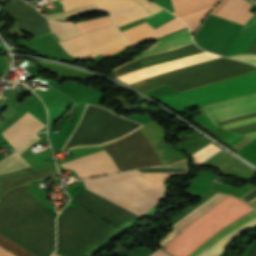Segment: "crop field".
Wrapping results in <instances>:
<instances>
[{
    "instance_id": "8a807250",
    "label": "crop field",
    "mask_w": 256,
    "mask_h": 256,
    "mask_svg": "<svg viewBox=\"0 0 256 256\" xmlns=\"http://www.w3.org/2000/svg\"><path fill=\"white\" fill-rule=\"evenodd\" d=\"M73 201L122 229L138 217L87 190ZM116 228L79 206L66 208L57 218V242L81 254Z\"/></svg>"
},
{
    "instance_id": "ac0d7876",
    "label": "crop field",
    "mask_w": 256,
    "mask_h": 256,
    "mask_svg": "<svg viewBox=\"0 0 256 256\" xmlns=\"http://www.w3.org/2000/svg\"><path fill=\"white\" fill-rule=\"evenodd\" d=\"M55 220L25 196L0 202V233L38 256L54 250Z\"/></svg>"
},
{
    "instance_id": "34b2d1b8",
    "label": "crop field",
    "mask_w": 256,
    "mask_h": 256,
    "mask_svg": "<svg viewBox=\"0 0 256 256\" xmlns=\"http://www.w3.org/2000/svg\"><path fill=\"white\" fill-rule=\"evenodd\" d=\"M252 210L228 195L180 230L179 235L161 247L162 251L172 256H188L214 233Z\"/></svg>"
},
{
    "instance_id": "412701ff",
    "label": "crop field",
    "mask_w": 256,
    "mask_h": 256,
    "mask_svg": "<svg viewBox=\"0 0 256 256\" xmlns=\"http://www.w3.org/2000/svg\"><path fill=\"white\" fill-rule=\"evenodd\" d=\"M253 71H256V67L252 65L221 57L157 75L129 86L145 92L168 84L182 92Z\"/></svg>"
},
{
    "instance_id": "f4fd0767",
    "label": "crop field",
    "mask_w": 256,
    "mask_h": 256,
    "mask_svg": "<svg viewBox=\"0 0 256 256\" xmlns=\"http://www.w3.org/2000/svg\"><path fill=\"white\" fill-rule=\"evenodd\" d=\"M85 188L136 214H142L164 188L130 171L83 180Z\"/></svg>"
},
{
    "instance_id": "dd49c442",
    "label": "crop field",
    "mask_w": 256,
    "mask_h": 256,
    "mask_svg": "<svg viewBox=\"0 0 256 256\" xmlns=\"http://www.w3.org/2000/svg\"><path fill=\"white\" fill-rule=\"evenodd\" d=\"M256 91V72L182 93L155 97L179 113L197 106L210 105Z\"/></svg>"
},
{
    "instance_id": "e52e79f7",
    "label": "crop field",
    "mask_w": 256,
    "mask_h": 256,
    "mask_svg": "<svg viewBox=\"0 0 256 256\" xmlns=\"http://www.w3.org/2000/svg\"><path fill=\"white\" fill-rule=\"evenodd\" d=\"M251 4L244 0H222L211 14L244 25L252 13L247 12ZM256 43V12L241 27L237 35L226 49L224 56L248 54ZM249 54H256V45Z\"/></svg>"
},
{
    "instance_id": "d8731c3e",
    "label": "crop field",
    "mask_w": 256,
    "mask_h": 256,
    "mask_svg": "<svg viewBox=\"0 0 256 256\" xmlns=\"http://www.w3.org/2000/svg\"><path fill=\"white\" fill-rule=\"evenodd\" d=\"M103 148L120 171L162 164L141 130Z\"/></svg>"
},
{
    "instance_id": "5a996713",
    "label": "crop field",
    "mask_w": 256,
    "mask_h": 256,
    "mask_svg": "<svg viewBox=\"0 0 256 256\" xmlns=\"http://www.w3.org/2000/svg\"><path fill=\"white\" fill-rule=\"evenodd\" d=\"M60 43L66 52L82 61L101 52L130 45L115 25L97 29Z\"/></svg>"
},
{
    "instance_id": "3316defc",
    "label": "crop field",
    "mask_w": 256,
    "mask_h": 256,
    "mask_svg": "<svg viewBox=\"0 0 256 256\" xmlns=\"http://www.w3.org/2000/svg\"><path fill=\"white\" fill-rule=\"evenodd\" d=\"M64 11L96 3L99 11L107 12L118 27L149 16L137 2L130 0H62Z\"/></svg>"
},
{
    "instance_id": "28ad6ade",
    "label": "crop field",
    "mask_w": 256,
    "mask_h": 256,
    "mask_svg": "<svg viewBox=\"0 0 256 256\" xmlns=\"http://www.w3.org/2000/svg\"><path fill=\"white\" fill-rule=\"evenodd\" d=\"M6 13L16 21V27L33 36L49 34L46 20L21 0H10Z\"/></svg>"
},
{
    "instance_id": "d1516ede",
    "label": "crop field",
    "mask_w": 256,
    "mask_h": 256,
    "mask_svg": "<svg viewBox=\"0 0 256 256\" xmlns=\"http://www.w3.org/2000/svg\"><path fill=\"white\" fill-rule=\"evenodd\" d=\"M61 166L74 170L79 178L118 172L105 150L61 164Z\"/></svg>"
},
{
    "instance_id": "22f410ed",
    "label": "crop field",
    "mask_w": 256,
    "mask_h": 256,
    "mask_svg": "<svg viewBox=\"0 0 256 256\" xmlns=\"http://www.w3.org/2000/svg\"><path fill=\"white\" fill-rule=\"evenodd\" d=\"M207 115L215 122L237 117L256 111V93L203 107Z\"/></svg>"
},
{
    "instance_id": "cbeb9de0",
    "label": "crop field",
    "mask_w": 256,
    "mask_h": 256,
    "mask_svg": "<svg viewBox=\"0 0 256 256\" xmlns=\"http://www.w3.org/2000/svg\"><path fill=\"white\" fill-rule=\"evenodd\" d=\"M202 3H218L219 0H197ZM196 0H172L174 12L191 29L193 33L199 26L202 18L215 4H201Z\"/></svg>"
},
{
    "instance_id": "5142ce71",
    "label": "crop field",
    "mask_w": 256,
    "mask_h": 256,
    "mask_svg": "<svg viewBox=\"0 0 256 256\" xmlns=\"http://www.w3.org/2000/svg\"><path fill=\"white\" fill-rule=\"evenodd\" d=\"M56 166L35 172L31 167L0 175V195L14 187L29 185L30 182L58 176Z\"/></svg>"
},
{
    "instance_id": "d9b57169",
    "label": "crop field",
    "mask_w": 256,
    "mask_h": 256,
    "mask_svg": "<svg viewBox=\"0 0 256 256\" xmlns=\"http://www.w3.org/2000/svg\"><path fill=\"white\" fill-rule=\"evenodd\" d=\"M96 11H98L97 7L95 4H93V5L79 7L67 12L46 15L45 18L48 20L49 27L52 33L54 32L60 40H64L71 36L80 34L79 30L74 25V23L59 22V21H53V20H65L72 17H76L81 14H86V13H91Z\"/></svg>"
},
{
    "instance_id": "733c2abd",
    "label": "crop field",
    "mask_w": 256,
    "mask_h": 256,
    "mask_svg": "<svg viewBox=\"0 0 256 256\" xmlns=\"http://www.w3.org/2000/svg\"><path fill=\"white\" fill-rule=\"evenodd\" d=\"M45 125L28 112L1 134L15 149Z\"/></svg>"
},
{
    "instance_id": "4a817a6b",
    "label": "crop field",
    "mask_w": 256,
    "mask_h": 256,
    "mask_svg": "<svg viewBox=\"0 0 256 256\" xmlns=\"http://www.w3.org/2000/svg\"><path fill=\"white\" fill-rule=\"evenodd\" d=\"M192 39L190 37L189 31L188 29L185 31H182L180 33H177L173 36H170L168 38H165L163 40H160L158 42H156L155 44H153L152 46L148 47L147 49H145L143 52H141L139 55H137L136 57H134L133 59L121 64L120 66H118L117 68L113 69L112 71H115L116 69L132 63L140 58L146 57V56H150V55H155V54H159V53H163V52H167L173 49H176L178 47L187 45L189 43H192Z\"/></svg>"
},
{
    "instance_id": "bc2a9ffb",
    "label": "crop field",
    "mask_w": 256,
    "mask_h": 256,
    "mask_svg": "<svg viewBox=\"0 0 256 256\" xmlns=\"http://www.w3.org/2000/svg\"><path fill=\"white\" fill-rule=\"evenodd\" d=\"M225 194L217 193L213 197H211L209 200L201 204L199 207L194 209L193 211L186 214L182 219H180L175 225H173V231L169 233L165 238H163L161 241L158 242L159 246L161 247L166 242H168L170 239H172L174 236H176L180 229H182L185 225H187L189 222H191L194 218H196L198 215L203 213L205 210L213 206L215 203L220 201L222 198H224Z\"/></svg>"
},
{
    "instance_id": "214f88e0",
    "label": "crop field",
    "mask_w": 256,
    "mask_h": 256,
    "mask_svg": "<svg viewBox=\"0 0 256 256\" xmlns=\"http://www.w3.org/2000/svg\"><path fill=\"white\" fill-rule=\"evenodd\" d=\"M40 138L34 135L25 143H23L17 150L13 153L5 157L0 161V174H4L7 172L15 171L24 167H28L29 165L25 162V160L19 155L33 143H35Z\"/></svg>"
},
{
    "instance_id": "92a150f3",
    "label": "crop field",
    "mask_w": 256,
    "mask_h": 256,
    "mask_svg": "<svg viewBox=\"0 0 256 256\" xmlns=\"http://www.w3.org/2000/svg\"><path fill=\"white\" fill-rule=\"evenodd\" d=\"M256 217V211H252L248 213L247 215L241 217L237 221L233 222L229 226L225 227L218 233H216L212 238H210L206 243H204L199 249H197L191 256H198L201 252H203L205 249H209L211 246H213L215 243L220 241L223 237H225L228 233H230L232 230L236 229L237 227L245 224L246 222L252 220Z\"/></svg>"
},
{
    "instance_id": "dafd665d",
    "label": "crop field",
    "mask_w": 256,
    "mask_h": 256,
    "mask_svg": "<svg viewBox=\"0 0 256 256\" xmlns=\"http://www.w3.org/2000/svg\"><path fill=\"white\" fill-rule=\"evenodd\" d=\"M200 52H204V51L197 48L192 43L186 47H183L174 51L143 58V61L146 63L147 66H150L152 64H156V63H160V62H164V61H168V60H172V59H176V58H180V57H184V56H188V55H192Z\"/></svg>"
},
{
    "instance_id": "00972430",
    "label": "crop field",
    "mask_w": 256,
    "mask_h": 256,
    "mask_svg": "<svg viewBox=\"0 0 256 256\" xmlns=\"http://www.w3.org/2000/svg\"><path fill=\"white\" fill-rule=\"evenodd\" d=\"M256 224V218L250 221L249 223L245 224L244 226L240 227L236 231L232 232L228 236H226L224 239H222L220 242H218L215 246H213L209 250H205L203 253H201L199 256H217L223 248L227 245V243L234 238L236 235H238L241 231L253 226Z\"/></svg>"
},
{
    "instance_id": "a9b5d70f",
    "label": "crop field",
    "mask_w": 256,
    "mask_h": 256,
    "mask_svg": "<svg viewBox=\"0 0 256 256\" xmlns=\"http://www.w3.org/2000/svg\"><path fill=\"white\" fill-rule=\"evenodd\" d=\"M0 246L15 254L16 256H35L34 254L30 253L29 251L25 250L24 248L20 247L2 235H0ZM1 247L0 256H15Z\"/></svg>"
},
{
    "instance_id": "4177f3b9",
    "label": "crop field",
    "mask_w": 256,
    "mask_h": 256,
    "mask_svg": "<svg viewBox=\"0 0 256 256\" xmlns=\"http://www.w3.org/2000/svg\"><path fill=\"white\" fill-rule=\"evenodd\" d=\"M173 17H175V16H173L163 10V11L156 13L152 16L144 18V20L155 29V28L159 27L160 25H162L163 23L167 22L168 20L172 19Z\"/></svg>"
},
{
    "instance_id": "730fd06b",
    "label": "crop field",
    "mask_w": 256,
    "mask_h": 256,
    "mask_svg": "<svg viewBox=\"0 0 256 256\" xmlns=\"http://www.w3.org/2000/svg\"><path fill=\"white\" fill-rule=\"evenodd\" d=\"M136 171V170H134ZM137 173L143 175L144 177L152 180L153 182L165 187L162 182L164 179H166L170 175H176V174H188V168H186V173H152V172H138Z\"/></svg>"
},
{
    "instance_id": "eef30255",
    "label": "crop field",
    "mask_w": 256,
    "mask_h": 256,
    "mask_svg": "<svg viewBox=\"0 0 256 256\" xmlns=\"http://www.w3.org/2000/svg\"><path fill=\"white\" fill-rule=\"evenodd\" d=\"M118 229L114 230L112 233H110L108 236H106L105 238H103L101 241H99L98 243H96L94 246H92L90 249H88L87 251H85L83 254L79 255L59 244H57V250L62 251L64 253H67L69 255L72 256H85L86 254H88L90 251H92L94 248H96L98 245H100L103 241H105L107 238H109L111 235H113L115 232H117Z\"/></svg>"
},
{
    "instance_id": "ae1a2a85",
    "label": "crop field",
    "mask_w": 256,
    "mask_h": 256,
    "mask_svg": "<svg viewBox=\"0 0 256 256\" xmlns=\"http://www.w3.org/2000/svg\"><path fill=\"white\" fill-rule=\"evenodd\" d=\"M193 120L206 130L218 127L206 116L205 112L196 117H193Z\"/></svg>"
},
{
    "instance_id": "d3111659",
    "label": "crop field",
    "mask_w": 256,
    "mask_h": 256,
    "mask_svg": "<svg viewBox=\"0 0 256 256\" xmlns=\"http://www.w3.org/2000/svg\"><path fill=\"white\" fill-rule=\"evenodd\" d=\"M24 194H30L27 186L19 187V188L13 189V190L5 193L0 198V201L6 200V199H10V198H14V197H17V196H21V195H24Z\"/></svg>"
},
{
    "instance_id": "750c4746",
    "label": "crop field",
    "mask_w": 256,
    "mask_h": 256,
    "mask_svg": "<svg viewBox=\"0 0 256 256\" xmlns=\"http://www.w3.org/2000/svg\"><path fill=\"white\" fill-rule=\"evenodd\" d=\"M228 130L239 133L241 135L253 133V132H256V123L238 126V127H234V128L228 129Z\"/></svg>"
},
{
    "instance_id": "bd1437ed",
    "label": "crop field",
    "mask_w": 256,
    "mask_h": 256,
    "mask_svg": "<svg viewBox=\"0 0 256 256\" xmlns=\"http://www.w3.org/2000/svg\"><path fill=\"white\" fill-rule=\"evenodd\" d=\"M242 138H243V136L230 133V134H228L222 138H219V139H221L223 142H225L227 145H229L231 147L232 145H234L236 142H238Z\"/></svg>"
},
{
    "instance_id": "1d83c4d3",
    "label": "crop field",
    "mask_w": 256,
    "mask_h": 256,
    "mask_svg": "<svg viewBox=\"0 0 256 256\" xmlns=\"http://www.w3.org/2000/svg\"><path fill=\"white\" fill-rule=\"evenodd\" d=\"M137 2H139L141 5H143L145 7V9L149 12L150 15L162 10L161 8L151 4L150 2H148L147 0H135Z\"/></svg>"
},
{
    "instance_id": "120bbe31",
    "label": "crop field",
    "mask_w": 256,
    "mask_h": 256,
    "mask_svg": "<svg viewBox=\"0 0 256 256\" xmlns=\"http://www.w3.org/2000/svg\"><path fill=\"white\" fill-rule=\"evenodd\" d=\"M229 57L234 59H240L256 65V55H238V56H229Z\"/></svg>"
},
{
    "instance_id": "d32e631a",
    "label": "crop field",
    "mask_w": 256,
    "mask_h": 256,
    "mask_svg": "<svg viewBox=\"0 0 256 256\" xmlns=\"http://www.w3.org/2000/svg\"><path fill=\"white\" fill-rule=\"evenodd\" d=\"M256 121V117L255 118H249V119H245V120H241V121H237V122H233L230 124H227L225 126H222L224 129L226 128H230V127H234V126H238V125H242V124H246V123H250V122H254Z\"/></svg>"
},
{
    "instance_id": "5866460e",
    "label": "crop field",
    "mask_w": 256,
    "mask_h": 256,
    "mask_svg": "<svg viewBox=\"0 0 256 256\" xmlns=\"http://www.w3.org/2000/svg\"><path fill=\"white\" fill-rule=\"evenodd\" d=\"M255 116H256V112L250 113V114H247V115H244V116H240V117H237V118H234V119L218 122L217 124L222 126V125H225V124L233 122V121H237V120H241V119H245V118H249V117H255Z\"/></svg>"
},
{
    "instance_id": "028f5c9d",
    "label": "crop field",
    "mask_w": 256,
    "mask_h": 256,
    "mask_svg": "<svg viewBox=\"0 0 256 256\" xmlns=\"http://www.w3.org/2000/svg\"><path fill=\"white\" fill-rule=\"evenodd\" d=\"M28 197V199L33 202L36 206H38L41 210H43L46 214H48L49 216H51L53 219H55V217L50 214L43 206H41L40 204H38L32 197H30L29 195H26Z\"/></svg>"
},
{
    "instance_id": "e1f06a70",
    "label": "crop field",
    "mask_w": 256,
    "mask_h": 256,
    "mask_svg": "<svg viewBox=\"0 0 256 256\" xmlns=\"http://www.w3.org/2000/svg\"><path fill=\"white\" fill-rule=\"evenodd\" d=\"M151 256H169L168 254L164 253L160 250L156 251L153 255Z\"/></svg>"
},
{
    "instance_id": "0bd39190",
    "label": "crop field",
    "mask_w": 256,
    "mask_h": 256,
    "mask_svg": "<svg viewBox=\"0 0 256 256\" xmlns=\"http://www.w3.org/2000/svg\"><path fill=\"white\" fill-rule=\"evenodd\" d=\"M244 136H248V137H251V138H255V137H256V133L248 134V135H244Z\"/></svg>"
},
{
    "instance_id": "b80d0937",
    "label": "crop field",
    "mask_w": 256,
    "mask_h": 256,
    "mask_svg": "<svg viewBox=\"0 0 256 256\" xmlns=\"http://www.w3.org/2000/svg\"><path fill=\"white\" fill-rule=\"evenodd\" d=\"M52 256H58V255H56V254H54V253H53V255H52Z\"/></svg>"
},
{
    "instance_id": "c035e120",
    "label": "crop field",
    "mask_w": 256,
    "mask_h": 256,
    "mask_svg": "<svg viewBox=\"0 0 256 256\" xmlns=\"http://www.w3.org/2000/svg\"><path fill=\"white\" fill-rule=\"evenodd\" d=\"M50 1H53V0H50Z\"/></svg>"
}]
</instances>
